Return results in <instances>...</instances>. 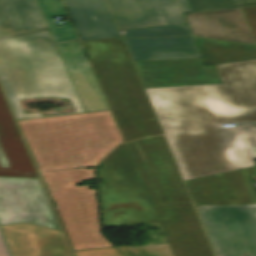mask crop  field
Listing matches in <instances>:
<instances>
[{"instance_id": "d8731c3e", "label": "crop field", "mask_w": 256, "mask_h": 256, "mask_svg": "<svg viewBox=\"0 0 256 256\" xmlns=\"http://www.w3.org/2000/svg\"><path fill=\"white\" fill-rule=\"evenodd\" d=\"M120 29L186 23L187 0H108Z\"/></svg>"}, {"instance_id": "dafd665d", "label": "crop field", "mask_w": 256, "mask_h": 256, "mask_svg": "<svg viewBox=\"0 0 256 256\" xmlns=\"http://www.w3.org/2000/svg\"><path fill=\"white\" fill-rule=\"evenodd\" d=\"M126 256H174L169 244L118 247Z\"/></svg>"}, {"instance_id": "d9b57169", "label": "crop field", "mask_w": 256, "mask_h": 256, "mask_svg": "<svg viewBox=\"0 0 256 256\" xmlns=\"http://www.w3.org/2000/svg\"><path fill=\"white\" fill-rule=\"evenodd\" d=\"M125 40L135 61L202 58L193 37Z\"/></svg>"}, {"instance_id": "34b2d1b8", "label": "crop field", "mask_w": 256, "mask_h": 256, "mask_svg": "<svg viewBox=\"0 0 256 256\" xmlns=\"http://www.w3.org/2000/svg\"><path fill=\"white\" fill-rule=\"evenodd\" d=\"M0 83L17 120L43 116L23 114L18 99L54 97L69 99L75 112L85 113L49 31L0 39Z\"/></svg>"}, {"instance_id": "92a150f3", "label": "crop field", "mask_w": 256, "mask_h": 256, "mask_svg": "<svg viewBox=\"0 0 256 256\" xmlns=\"http://www.w3.org/2000/svg\"><path fill=\"white\" fill-rule=\"evenodd\" d=\"M192 12L256 5V0H188Z\"/></svg>"}, {"instance_id": "8a807250", "label": "crop field", "mask_w": 256, "mask_h": 256, "mask_svg": "<svg viewBox=\"0 0 256 256\" xmlns=\"http://www.w3.org/2000/svg\"><path fill=\"white\" fill-rule=\"evenodd\" d=\"M223 84L146 89L185 181L256 165V60L215 65Z\"/></svg>"}, {"instance_id": "bc2a9ffb", "label": "crop field", "mask_w": 256, "mask_h": 256, "mask_svg": "<svg viewBox=\"0 0 256 256\" xmlns=\"http://www.w3.org/2000/svg\"><path fill=\"white\" fill-rule=\"evenodd\" d=\"M56 43L78 39L72 25L59 26L53 16H65L61 0H37Z\"/></svg>"}, {"instance_id": "f4fd0767", "label": "crop field", "mask_w": 256, "mask_h": 256, "mask_svg": "<svg viewBox=\"0 0 256 256\" xmlns=\"http://www.w3.org/2000/svg\"><path fill=\"white\" fill-rule=\"evenodd\" d=\"M196 209L216 256H256V204Z\"/></svg>"}, {"instance_id": "e52e79f7", "label": "crop field", "mask_w": 256, "mask_h": 256, "mask_svg": "<svg viewBox=\"0 0 256 256\" xmlns=\"http://www.w3.org/2000/svg\"><path fill=\"white\" fill-rule=\"evenodd\" d=\"M154 208L175 256H213L191 203Z\"/></svg>"}, {"instance_id": "00972430", "label": "crop field", "mask_w": 256, "mask_h": 256, "mask_svg": "<svg viewBox=\"0 0 256 256\" xmlns=\"http://www.w3.org/2000/svg\"><path fill=\"white\" fill-rule=\"evenodd\" d=\"M74 253L76 256H123L116 248L83 250Z\"/></svg>"}, {"instance_id": "22f410ed", "label": "crop field", "mask_w": 256, "mask_h": 256, "mask_svg": "<svg viewBox=\"0 0 256 256\" xmlns=\"http://www.w3.org/2000/svg\"><path fill=\"white\" fill-rule=\"evenodd\" d=\"M186 183L196 205L251 203L240 169Z\"/></svg>"}, {"instance_id": "dd49c442", "label": "crop field", "mask_w": 256, "mask_h": 256, "mask_svg": "<svg viewBox=\"0 0 256 256\" xmlns=\"http://www.w3.org/2000/svg\"><path fill=\"white\" fill-rule=\"evenodd\" d=\"M22 222L61 229L38 179L0 178V225Z\"/></svg>"}, {"instance_id": "a9b5d70f", "label": "crop field", "mask_w": 256, "mask_h": 256, "mask_svg": "<svg viewBox=\"0 0 256 256\" xmlns=\"http://www.w3.org/2000/svg\"><path fill=\"white\" fill-rule=\"evenodd\" d=\"M256 40V7L242 8Z\"/></svg>"}, {"instance_id": "ac0d7876", "label": "crop field", "mask_w": 256, "mask_h": 256, "mask_svg": "<svg viewBox=\"0 0 256 256\" xmlns=\"http://www.w3.org/2000/svg\"><path fill=\"white\" fill-rule=\"evenodd\" d=\"M121 39L82 43L152 205L191 202Z\"/></svg>"}, {"instance_id": "d1516ede", "label": "crop field", "mask_w": 256, "mask_h": 256, "mask_svg": "<svg viewBox=\"0 0 256 256\" xmlns=\"http://www.w3.org/2000/svg\"><path fill=\"white\" fill-rule=\"evenodd\" d=\"M0 177L39 178L1 90Z\"/></svg>"}, {"instance_id": "4177f3b9", "label": "crop field", "mask_w": 256, "mask_h": 256, "mask_svg": "<svg viewBox=\"0 0 256 256\" xmlns=\"http://www.w3.org/2000/svg\"><path fill=\"white\" fill-rule=\"evenodd\" d=\"M0 256H9L1 235H0Z\"/></svg>"}, {"instance_id": "28ad6ade", "label": "crop field", "mask_w": 256, "mask_h": 256, "mask_svg": "<svg viewBox=\"0 0 256 256\" xmlns=\"http://www.w3.org/2000/svg\"><path fill=\"white\" fill-rule=\"evenodd\" d=\"M185 16L194 36L256 45L241 8L189 13Z\"/></svg>"}, {"instance_id": "733c2abd", "label": "crop field", "mask_w": 256, "mask_h": 256, "mask_svg": "<svg viewBox=\"0 0 256 256\" xmlns=\"http://www.w3.org/2000/svg\"><path fill=\"white\" fill-rule=\"evenodd\" d=\"M47 28L36 0H0V38Z\"/></svg>"}, {"instance_id": "3316defc", "label": "crop field", "mask_w": 256, "mask_h": 256, "mask_svg": "<svg viewBox=\"0 0 256 256\" xmlns=\"http://www.w3.org/2000/svg\"><path fill=\"white\" fill-rule=\"evenodd\" d=\"M1 228L13 256H72L60 231L30 223Z\"/></svg>"}, {"instance_id": "4a817a6b", "label": "crop field", "mask_w": 256, "mask_h": 256, "mask_svg": "<svg viewBox=\"0 0 256 256\" xmlns=\"http://www.w3.org/2000/svg\"><path fill=\"white\" fill-rule=\"evenodd\" d=\"M205 65L256 59V46L194 37Z\"/></svg>"}, {"instance_id": "cbeb9de0", "label": "crop field", "mask_w": 256, "mask_h": 256, "mask_svg": "<svg viewBox=\"0 0 256 256\" xmlns=\"http://www.w3.org/2000/svg\"><path fill=\"white\" fill-rule=\"evenodd\" d=\"M86 112L108 110L79 41L57 45Z\"/></svg>"}, {"instance_id": "412701ff", "label": "crop field", "mask_w": 256, "mask_h": 256, "mask_svg": "<svg viewBox=\"0 0 256 256\" xmlns=\"http://www.w3.org/2000/svg\"><path fill=\"white\" fill-rule=\"evenodd\" d=\"M96 170L103 228L158 222L124 142Z\"/></svg>"}, {"instance_id": "5142ce71", "label": "crop field", "mask_w": 256, "mask_h": 256, "mask_svg": "<svg viewBox=\"0 0 256 256\" xmlns=\"http://www.w3.org/2000/svg\"><path fill=\"white\" fill-rule=\"evenodd\" d=\"M80 39L120 36L105 0H64Z\"/></svg>"}, {"instance_id": "214f88e0", "label": "crop field", "mask_w": 256, "mask_h": 256, "mask_svg": "<svg viewBox=\"0 0 256 256\" xmlns=\"http://www.w3.org/2000/svg\"><path fill=\"white\" fill-rule=\"evenodd\" d=\"M124 38L193 35L188 24L127 29Z\"/></svg>"}, {"instance_id": "5a996713", "label": "crop field", "mask_w": 256, "mask_h": 256, "mask_svg": "<svg viewBox=\"0 0 256 256\" xmlns=\"http://www.w3.org/2000/svg\"><path fill=\"white\" fill-rule=\"evenodd\" d=\"M146 88L222 83L202 59L134 62Z\"/></svg>"}]
</instances>
